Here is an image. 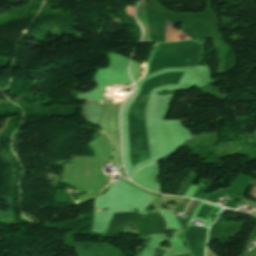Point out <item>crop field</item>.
Listing matches in <instances>:
<instances>
[{"label": "crop field", "instance_id": "1", "mask_svg": "<svg viewBox=\"0 0 256 256\" xmlns=\"http://www.w3.org/2000/svg\"><path fill=\"white\" fill-rule=\"evenodd\" d=\"M136 17L140 21L141 25L145 30V34L142 42H151L144 2L139 4L136 10Z\"/></svg>", "mask_w": 256, "mask_h": 256}, {"label": "crop field", "instance_id": "2", "mask_svg": "<svg viewBox=\"0 0 256 256\" xmlns=\"http://www.w3.org/2000/svg\"><path fill=\"white\" fill-rule=\"evenodd\" d=\"M198 204H199V201L194 200V202L192 203V205L188 209V212L194 213V211H195L196 207L198 206Z\"/></svg>", "mask_w": 256, "mask_h": 256}, {"label": "crop field", "instance_id": "3", "mask_svg": "<svg viewBox=\"0 0 256 256\" xmlns=\"http://www.w3.org/2000/svg\"><path fill=\"white\" fill-rule=\"evenodd\" d=\"M126 11H127V13L130 15V16H132V17H134V8L133 7H130L129 5L126 7Z\"/></svg>", "mask_w": 256, "mask_h": 256}, {"label": "crop field", "instance_id": "4", "mask_svg": "<svg viewBox=\"0 0 256 256\" xmlns=\"http://www.w3.org/2000/svg\"><path fill=\"white\" fill-rule=\"evenodd\" d=\"M189 200H190V199H187V200H186V202H185L184 206L182 207L180 213H183V211H184L186 205L188 204Z\"/></svg>", "mask_w": 256, "mask_h": 256}, {"label": "crop field", "instance_id": "5", "mask_svg": "<svg viewBox=\"0 0 256 256\" xmlns=\"http://www.w3.org/2000/svg\"><path fill=\"white\" fill-rule=\"evenodd\" d=\"M182 256H189V254H186V255H182Z\"/></svg>", "mask_w": 256, "mask_h": 256}, {"label": "crop field", "instance_id": "6", "mask_svg": "<svg viewBox=\"0 0 256 256\" xmlns=\"http://www.w3.org/2000/svg\"><path fill=\"white\" fill-rule=\"evenodd\" d=\"M206 201V200H205ZM208 202V201H207Z\"/></svg>", "mask_w": 256, "mask_h": 256}]
</instances>
